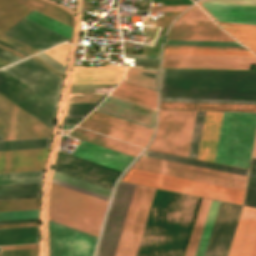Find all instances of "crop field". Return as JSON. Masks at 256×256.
Masks as SVG:
<instances>
[{
	"mask_svg": "<svg viewBox=\"0 0 256 256\" xmlns=\"http://www.w3.org/2000/svg\"><path fill=\"white\" fill-rule=\"evenodd\" d=\"M134 186L133 184L119 183L105 224L97 256H114ZM153 190L148 187L135 186L115 256H133Z\"/></svg>",
	"mask_w": 256,
	"mask_h": 256,
	"instance_id": "obj_1",
	"label": "crop field"
},
{
	"mask_svg": "<svg viewBox=\"0 0 256 256\" xmlns=\"http://www.w3.org/2000/svg\"><path fill=\"white\" fill-rule=\"evenodd\" d=\"M97 109L125 117L149 126L154 125V112L132 105L130 103L112 98H107ZM79 127L95 131L125 142L145 147L152 130L101 114L92 112Z\"/></svg>",
	"mask_w": 256,
	"mask_h": 256,
	"instance_id": "obj_2",
	"label": "crop field"
},
{
	"mask_svg": "<svg viewBox=\"0 0 256 256\" xmlns=\"http://www.w3.org/2000/svg\"><path fill=\"white\" fill-rule=\"evenodd\" d=\"M107 201L51 184L49 219L98 235Z\"/></svg>",
	"mask_w": 256,
	"mask_h": 256,
	"instance_id": "obj_3",
	"label": "crop field"
},
{
	"mask_svg": "<svg viewBox=\"0 0 256 256\" xmlns=\"http://www.w3.org/2000/svg\"><path fill=\"white\" fill-rule=\"evenodd\" d=\"M256 113L224 112L214 162L248 168Z\"/></svg>",
	"mask_w": 256,
	"mask_h": 256,
	"instance_id": "obj_4",
	"label": "crop field"
},
{
	"mask_svg": "<svg viewBox=\"0 0 256 256\" xmlns=\"http://www.w3.org/2000/svg\"><path fill=\"white\" fill-rule=\"evenodd\" d=\"M162 86L256 89V71L163 69Z\"/></svg>",
	"mask_w": 256,
	"mask_h": 256,
	"instance_id": "obj_5",
	"label": "crop field"
},
{
	"mask_svg": "<svg viewBox=\"0 0 256 256\" xmlns=\"http://www.w3.org/2000/svg\"><path fill=\"white\" fill-rule=\"evenodd\" d=\"M122 181L242 204V190L130 169Z\"/></svg>",
	"mask_w": 256,
	"mask_h": 256,
	"instance_id": "obj_6",
	"label": "crop field"
},
{
	"mask_svg": "<svg viewBox=\"0 0 256 256\" xmlns=\"http://www.w3.org/2000/svg\"><path fill=\"white\" fill-rule=\"evenodd\" d=\"M195 114L159 111L157 132L148 149L187 157Z\"/></svg>",
	"mask_w": 256,
	"mask_h": 256,
	"instance_id": "obj_7",
	"label": "crop field"
},
{
	"mask_svg": "<svg viewBox=\"0 0 256 256\" xmlns=\"http://www.w3.org/2000/svg\"><path fill=\"white\" fill-rule=\"evenodd\" d=\"M2 70L54 106L57 105L62 79L32 59L28 58Z\"/></svg>",
	"mask_w": 256,
	"mask_h": 256,
	"instance_id": "obj_8",
	"label": "crop field"
},
{
	"mask_svg": "<svg viewBox=\"0 0 256 256\" xmlns=\"http://www.w3.org/2000/svg\"><path fill=\"white\" fill-rule=\"evenodd\" d=\"M0 134L4 140L42 138L52 130L0 95Z\"/></svg>",
	"mask_w": 256,
	"mask_h": 256,
	"instance_id": "obj_9",
	"label": "crop field"
},
{
	"mask_svg": "<svg viewBox=\"0 0 256 256\" xmlns=\"http://www.w3.org/2000/svg\"><path fill=\"white\" fill-rule=\"evenodd\" d=\"M0 94L52 129L56 107L1 70Z\"/></svg>",
	"mask_w": 256,
	"mask_h": 256,
	"instance_id": "obj_10",
	"label": "crop field"
},
{
	"mask_svg": "<svg viewBox=\"0 0 256 256\" xmlns=\"http://www.w3.org/2000/svg\"><path fill=\"white\" fill-rule=\"evenodd\" d=\"M96 239L49 220V256H92Z\"/></svg>",
	"mask_w": 256,
	"mask_h": 256,
	"instance_id": "obj_11",
	"label": "crop field"
},
{
	"mask_svg": "<svg viewBox=\"0 0 256 256\" xmlns=\"http://www.w3.org/2000/svg\"><path fill=\"white\" fill-rule=\"evenodd\" d=\"M54 170L111 189L121 173V171L75 158L59 151Z\"/></svg>",
	"mask_w": 256,
	"mask_h": 256,
	"instance_id": "obj_12",
	"label": "crop field"
},
{
	"mask_svg": "<svg viewBox=\"0 0 256 256\" xmlns=\"http://www.w3.org/2000/svg\"><path fill=\"white\" fill-rule=\"evenodd\" d=\"M241 205L220 203L205 256H227L242 210Z\"/></svg>",
	"mask_w": 256,
	"mask_h": 256,
	"instance_id": "obj_13",
	"label": "crop field"
},
{
	"mask_svg": "<svg viewBox=\"0 0 256 256\" xmlns=\"http://www.w3.org/2000/svg\"><path fill=\"white\" fill-rule=\"evenodd\" d=\"M256 58L164 55L163 67L249 70Z\"/></svg>",
	"mask_w": 256,
	"mask_h": 256,
	"instance_id": "obj_14",
	"label": "crop field"
},
{
	"mask_svg": "<svg viewBox=\"0 0 256 256\" xmlns=\"http://www.w3.org/2000/svg\"><path fill=\"white\" fill-rule=\"evenodd\" d=\"M4 35L39 51L69 39L25 18L15 24Z\"/></svg>",
	"mask_w": 256,
	"mask_h": 256,
	"instance_id": "obj_15",
	"label": "crop field"
},
{
	"mask_svg": "<svg viewBox=\"0 0 256 256\" xmlns=\"http://www.w3.org/2000/svg\"><path fill=\"white\" fill-rule=\"evenodd\" d=\"M161 97L256 100V90L162 87Z\"/></svg>",
	"mask_w": 256,
	"mask_h": 256,
	"instance_id": "obj_16",
	"label": "crop field"
},
{
	"mask_svg": "<svg viewBox=\"0 0 256 256\" xmlns=\"http://www.w3.org/2000/svg\"><path fill=\"white\" fill-rule=\"evenodd\" d=\"M48 149L0 152V173L43 170Z\"/></svg>",
	"mask_w": 256,
	"mask_h": 256,
	"instance_id": "obj_17",
	"label": "crop field"
},
{
	"mask_svg": "<svg viewBox=\"0 0 256 256\" xmlns=\"http://www.w3.org/2000/svg\"><path fill=\"white\" fill-rule=\"evenodd\" d=\"M256 237V208L243 207L228 256H250Z\"/></svg>",
	"mask_w": 256,
	"mask_h": 256,
	"instance_id": "obj_18",
	"label": "crop field"
},
{
	"mask_svg": "<svg viewBox=\"0 0 256 256\" xmlns=\"http://www.w3.org/2000/svg\"><path fill=\"white\" fill-rule=\"evenodd\" d=\"M72 155L123 171L134 157L82 140Z\"/></svg>",
	"mask_w": 256,
	"mask_h": 256,
	"instance_id": "obj_19",
	"label": "crop field"
},
{
	"mask_svg": "<svg viewBox=\"0 0 256 256\" xmlns=\"http://www.w3.org/2000/svg\"><path fill=\"white\" fill-rule=\"evenodd\" d=\"M201 4H202V2H200V4H199L200 7L207 14L210 13L217 21L245 23V24H256V7H247V6H237V5H227V4H216V3L203 2L202 6L209 12L208 13L201 6ZM234 23H232V24H234ZM245 24H243V25H245ZM253 26H256V25H253Z\"/></svg>",
	"mask_w": 256,
	"mask_h": 256,
	"instance_id": "obj_20",
	"label": "crop field"
},
{
	"mask_svg": "<svg viewBox=\"0 0 256 256\" xmlns=\"http://www.w3.org/2000/svg\"><path fill=\"white\" fill-rule=\"evenodd\" d=\"M223 112H206L197 158L214 160Z\"/></svg>",
	"mask_w": 256,
	"mask_h": 256,
	"instance_id": "obj_21",
	"label": "crop field"
},
{
	"mask_svg": "<svg viewBox=\"0 0 256 256\" xmlns=\"http://www.w3.org/2000/svg\"><path fill=\"white\" fill-rule=\"evenodd\" d=\"M124 68L76 69L71 85L118 84Z\"/></svg>",
	"mask_w": 256,
	"mask_h": 256,
	"instance_id": "obj_22",
	"label": "crop field"
},
{
	"mask_svg": "<svg viewBox=\"0 0 256 256\" xmlns=\"http://www.w3.org/2000/svg\"><path fill=\"white\" fill-rule=\"evenodd\" d=\"M132 168L138 169V170H143V171L164 174V175H169V176H175V177L195 180V181H200V182H206V183L226 186V187H232V188H237V189H242V190H244L245 184H246L243 182L213 178V177L200 175V174H196V173H191V172H186V171H181V170H176V169H171V168H165V167H160V166H155V165H150V164H144V163H139V162H136Z\"/></svg>",
	"mask_w": 256,
	"mask_h": 256,
	"instance_id": "obj_23",
	"label": "crop field"
},
{
	"mask_svg": "<svg viewBox=\"0 0 256 256\" xmlns=\"http://www.w3.org/2000/svg\"><path fill=\"white\" fill-rule=\"evenodd\" d=\"M167 39L234 41L218 27L173 26Z\"/></svg>",
	"mask_w": 256,
	"mask_h": 256,
	"instance_id": "obj_24",
	"label": "crop field"
},
{
	"mask_svg": "<svg viewBox=\"0 0 256 256\" xmlns=\"http://www.w3.org/2000/svg\"><path fill=\"white\" fill-rule=\"evenodd\" d=\"M111 94L156 109V91L122 81Z\"/></svg>",
	"mask_w": 256,
	"mask_h": 256,
	"instance_id": "obj_25",
	"label": "crop field"
},
{
	"mask_svg": "<svg viewBox=\"0 0 256 256\" xmlns=\"http://www.w3.org/2000/svg\"><path fill=\"white\" fill-rule=\"evenodd\" d=\"M108 94H69L65 115L68 113L69 105L99 104ZM97 105L70 106L68 116L85 117Z\"/></svg>",
	"mask_w": 256,
	"mask_h": 256,
	"instance_id": "obj_26",
	"label": "crop field"
},
{
	"mask_svg": "<svg viewBox=\"0 0 256 256\" xmlns=\"http://www.w3.org/2000/svg\"><path fill=\"white\" fill-rule=\"evenodd\" d=\"M52 178L56 179V180H59V181H62V182H65V183H68V184H71V185H74V186H77V187H81V188H84V189H87V190H90V191L108 196V197L110 196V193L112 191L111 189H108V188H105V187H102V186H99V185H95V184H92V183H89V182H86V181H83V180H80V179H77V178H74V177H71V176H67V175L55 172V171H54V174H53ZM53 179H52L53 183H56V184H59V185H62V186H65V187L83 192V193H86V194H89V195H92V196H95V197H98V198H101V199H104V200H107V201L109 199L108 197H105V196H102V195H99V194H96V193H93V192H90V191H87V190H84V189H80V188H77V187H74V186H71V185L53 180Z\"/></svg>",
	"mask_w": 256,
	"mask_h": 256,
	"instance_id": "obj_27",
	"label": "crop field"
},
{
	"mask_svg": "<svg viewBox=\"0 0 256 256\" xmlns=\"http://www.w3.org/2000/svg\"><path fill=\"white\" fill-rule=\"evenodd\" d=\"M31 10L14 0H0V34Z\"/></svg>",
	"mask_w": 256,
	"mask_h": 256,
	"instance_id": "obj_28",
	"label": "crop field"
},
{
	"mask_svg": "<svg viewBox=\"0 0 256 256\" xmlns=\"http://www.w3.org/2000/svg\"><path fill=\"white\" fill-rule=\"evenodd\" d=\"M38 243V227L0 229V245Z\"/></svg>",
	"mask_w": 256,
	"mask_h": 256,
	"instance_id": "obj_29",
	"label": "crop field"
},
{
	"mask_svg": "<svg viewBox=\"0 0 256 256\" xmlns=\"http://www.w3.org/2000/svg\"><path fill=\"white\" fill-rule=\"evenodd\" d=\"M32 9H35L45 15H48L58 21H61L72 27L73 17L63 8L47 0H16Z\"/></svg>",
	"mask_w": 256,
	"mask_h": 256,
	"instance_id": "obj_30",
	"label": "crop field"
},
{
	"mask_svg": "<svg viewBox=\"0 0 256 256\" xmlns=\"http://www.w3.org/2000/svg\"><path fill=\"white\" fill-rule=\"evenodd\" d=\"M124 81L157 91L158 69L126 67Z\"/></svg>",
	"mask_w": 256,
	"mask_h": 256,
	"instance_id": "obj_31",
	"label": "crop field"
},
{
	"mask_svg": "<svg viewBox=\"0 0 256 256\" xmlns=\"http://www.w3.org/2000/svg\"><path fill=\"white\" fill-rule=\"evenodd\" d=\"M209 199H201L192 232L184 256H194L199 242L201 231L210 205Z\"/></svg>",
	"mask_w": 256,
	"mask_h": 256,
	"instance_id": "obj_32",
	"label": "crop field"
},
{
	"mask_svg": "<svg viewBox=\"0 0 256 256\" xmlns=\"http://www.w3.org/2000/svg\"><path fill=\"white\" fill-rule=\"evenodd\" d=\"M41 183L0 186V200L39 197Z\"/></svg>",
	"mask_w": 256,
	"mask_h": 256,
	"instance_id": "obj_33",
	"label": "crop field"
},
{
	"mask_svg": "<svg viewBox=\"0 0 256 256\" xmlns=\"http://www.w3.org/2000/svg\"><path fill=\"white\" fill-rule=\"evenodd\" d=\"M251 51L256 53V27L218 23Z\"/></svg>",
	"mask_w": 256,
	"mask_h": 256,
	"instance_id": "obj_34",
	"label": "crop field"
},
{
	"mask_svg": "<svg viewBox=\"0 0 256 256\" xmlns=\"http://www.w3.org/2000/svg\"><path fill=\"white\" fill-rule=\"evenodd\" d=\"M50 138L0 142V151L48 148Z\"/></svg>",
	"mask_w": 256,
	"mask_h": 256,
	"instance_id": "obj_35",
	"label": "crop field"
},
{
	"mask_svg": "<svg viewBox=\"0 0 256 256\" xmlns=\"http://www.w3.org/2000/svg\"><path fill=\"white\" fill-rule=\"evenodd\" d=\"M25 18H27L31 21H34L40 25H43L51 30H54L60 34H63L69 38L71 36V30H72L71 27H69L61 22H58L48 16H45L35 10L30 12L27 16H25Z\"/></svg>",
	"mask_w": 256,
	"mask_h": 256,
	"instance_id": "obj_36",
	"label": "crop field"
},
{
	"mask_svg": "<svg viewBox=\"0 0 256 256\" xmlns=\"http://www.w3.org/2000/svg\"><path fill=\"white\" fill-rule=\"evenodd\" d=\"M164 54L255 57L249 51L165 49Z\"/></svg>",
	"mask_w": 256,
	"mask_h": 256,
	"instance_id": "obj_37",
	"label": "crop field"
},
{
	"mask_svg": "<svg viewBox=\"0 0 256 256\" xmlns=\"http://www.w3.org/2000/svg\"><path fill=\"white\" fill-rule=\"evenodd\" d=\"M219 203L220 202H218V201H214V200L211 201V205H210V208L208 211V215H207V218L205 221V225L203 228V232H202L200 242H199L195 256H204L206 246H207V243L209 240V236H210V233L212 230V226H213V223L215 220V216H216V213L218 210Z\"/></svg>",
	"mask_w": 256,
	"mask_h": 256,
	"instance_id": "obj_38",
	"label": "crop field"
},
{
	"mask_svg": "<svg viewBox=\"0 0 256 256\" xmlns=\"http://www.w3.org/2000/svg\"><path fill=\"white\" fill-rule=\"evenodd\" d=\"M39 198L0 201V212L38 209Z\"/></svg>",
	"mask_w": 256,
	"mask_h": 256,
	"instance_id": "obj_39",
	"label": "crop field"
},
{
	"mask_svg": "<svg viewBox=\"0 0 256 256\" xmlns=\"http://www.w3.org/2000/svg\"><path fill=\"white\" fill-rule=\"evenodd\" d=\"M244 205L256 207V158H252Z\"/></svg>",
	"mask_w": 256,
	"mask_h": 256,
	"instance_id": "obj_40",
	"label": "crop field"
},
{
	"mask_svg": "<svg viewBox=\"0 0 256 256\" xmlns=\"http://www.w3.org/2000/svg\"><path fill=\"white\" fill-rule=\"evenodd\" d=\"M205 112H197L188 157L196 158Z\"/></svg>",
	"mask_w": 256,
	"mask_h": 256,
	"instance_id": "obj_41",
	"label": "crop field"
},
{
	"mask_svg": "<svg viewBox=\"0 0 256 256\" xmlns=\"http://www.w3.org/2000/svg\"><path fill=\"white\" fill-rule=\"evenodd\" d=\"M165 45L242 47L237 42L167 40Z\"/></svg>",
	"mask_w": 256,
	"mask_h": 256,
	"instance_id": "obj_42",
	"label": "crop field"
},
{
	"mask_svg": "<svg viewBox=\"0 0 256 256\" xmlns=\"http://www.w3.org/2000/svg\"><path fill=\"white\" fill-rule=\"evenodd\" d=\"M68 134L71 135V136H74V137H78V138H81V139H84V140H87V141H90V142L108 147V148L113 149V150H116V151H119V152H122V153H125V154H128V155L134 156V157H136L137 154H138V152H135V151H132V150H129V149H126V148H122V147H119V146H116V145H113V144H110V143H107V142H104V141H101V140H98V139H95V138H92V137H88V136H85V135H82V134H79V133H76V132H73V131L69 132Z\"/></svg>",
	"mask_w": 256,
	"mask_h": 256,
	"instance_id": "obj_43",
	"label": "crop field"
},
{
	"mask_svg": "<svg viewBox=\"0 0 256 256\" xmlns=\"http://www.w3.org/2000/svg\"><path fill=\"white\" fill-rule=\"evenodd\" d=\"M194 165L200 166V167H205V168H210V169H215V170H220V171H225V172H230V173H235V174H240V175H245V176H247V173H248V170H245V169L234 168V167H229V166H224V165H219V164H214V163H208V162H203V161H198V160L195 161Z\"/></svg>",
	"mask_w": 256,
	"mask_h": 256,
	"instance_id": "obj_44",
	"label": "crop field"
},
{
	"mask_svg": "<svg viewBox=\"0 0 256 256\" xmlns=\"http://www.w3.org/2000/svg\"><path fill=\"white\" fill-rule=\"evenodd\" d=\"M68 44H62L60 46L54 47L52 49L44 51L47 55H49L51 58L56 60L58 63H60L62 66H65L67 53H68Z\"/></svg>",
	"mask_w": 256,
	"mask_h": 256,
	"instance_id": "obj_45",
	"label": "crop field"
},
{
	"mask_svg": "<svg viewBox=\"0 0 256 256\" xmlns=\"http://www.w3.org/2000/svg\"><path fill=\"white\" fill-rule=\"evenodd\" d=\"M191 171L197 172V173H202V174H207V175H212V176L233 179V180L244 181V182H246V179H247V177H245V176H240V175H235V174H230V173H225V172H220V171H215V170H210V169H205V168H200V167H195V166L192 167Z\"/></svg>",
	"mask_w": 256,
	"mask_h": 256,
	"instance_id": "obj_46",
	"label": "crop field"
},
{
	"mask_svg": "<svg viewBox=\"0 0 256 256\" xmlns=\"http://www.w3.org/2000/svg\"><path fill=\"white\" fill-rule=\"evenodd\" d=\"M30 218H38V210L0 213V220L30 219Z\"/></svg>",
	"mask_w": 256,
	"mask_h": 256,
	"instance_id": "obj_47",
	"label": "crop field"
},
{
	"mask_svg": "<svg viewBox=\"0 0 256 256\" xmlns=\"http://www.w3.org/2000/svg\"><path fill=\"white\" fill-rule=\"evenodd\" d=\"M161 101H178V102H212V103H246V104H256V101H248V100H213V99H178V98H161Z\"/></svg>",
	"mask_w": 256,
	"mask_h": 256,
	"instance_id": "obj_48",
	"label": "crop field"
},
{
	"mask_svg": "<svg viewBox=\"0 0 256 256\" xmlns=\"http://www.w3.org/2000/svg\"><path fill=\"white\" fill-rule=\"evenodd\" d=\"M73 131H76V132H79V133H82V134H85V135H89V136H92V137H95V138H98V139H101V140H104V141H107V142H110V143H113V144H116V145H119V146H123V147L129 148V149H132V150H135V151H138V152H140L142 150L140 148H137V147H134V146H131V145H128V144L110 139L108 137H105V136H102V135H99V134H96V133L78 128V127H75L73 129Z\"/></svg>",
	"mask_w": 256,
	"mask_h": 256,
	"instance_id": "obj_49",
	"label": "crop field"
},
{
	"mask_svg": "<svg viewBox=\"0 0 256 256\" xmlns=\"http://www.w3.org/2000/svg\"><path fill=\"white\" fill-rule=\"evenodd\" d=\"M138 161L155 164V165L171 167V168L182 169V170H184L186 167L185 164H180V163H175V162H170V161H165V160H160V159H155V158H150V157H145V156H142V158Z\"/></svg>",
	"mask_w": 256,
	"mask_h": 256,
	"instance_id": "obj_50",
	"label": "crop field"
},
{
	"mask_svg": "<svg viewBox=\"0 0 256 256\" xmlns=\"http://www.w3.org/2000/svg\"><path fill=\"white\" fill-rule=\"evenodd\" d=\"M175 25L216 26L210 19L180 18Z\"/></svg>",
	"mask_w": 256,
	"mask_h": 256,
	"instance_id": "obj_51",
	"label": "crop field"
},
{
	"mask_svg": "<svg viewBox=\"0 0 256 256\" xmlns=\"http://www.w3.org/2000/svg\"><path fill=\"white\" fill-rule=\"evenodd\" d=\"M43 171L0 174V180L42 177Z\"/></svg>",
	"mask_w": 256,
	"mask_h": 256,
	"instance_id": "obj_52",
	"label": "crop field"
},
{
	"mask_svg": "<svg viewBox=\"0 0 256 256\" xmlns=\"http://www.w3.org/2000/svg\"><path fill=\"white\" fill-rule=\"evenodd\" d=\"M0 41L4 42L6 44H9V45H11V46H13V47H15V48H17L19 50H22V51H24V52H26V53H28L30 55H33V54L39 52V51H37V50H35L33 48H30V47H28V46H26L24 44H21V43L15 41L13 39H10V38H8V37H6L4 35H2L0 37Z\"/></svg>",
	"mask_w": 256,
	"mask_h": 256,
	"instance_id": "obj_53",
	"label": "crop field"
},
{
	"mask_svg": "<svg viewBox=\"0 0 256 256\" xmlns=\"http://www.w3.org/2000/svg\"><path fill=\"white\" fill-rule=\"evenodd\" d=\"M144 155L150 156V157H155V158H160V159H165V160H170V161H175V162H180V163H185V164H187L188 160H189L187 158L166 155V154H161V153H156V152H151V151L145 152Z\"/></svg>",
	"mask_w": 256,
	"mask_h": 256,
	"instance_id": "obj_54",
	"label": "crop field"
},
{
	"mask_svg": "<svg viewBox=\"0 0 256 256\" xmlns=\"http://www.w3.org/2000/svg\"><path fill=\"white\" fill-rule=\"evenodd\" d=\"M38 249L1 251V256H37Z\"/></svg>",
	"mask_w": 256,
	"mask_h": 256,
	"instance_id": "obj_55",
	"label": "crop field"
},
{
	"mask_svg": "<svg viewBox=\"0 0 256 256\" xmlns=\"http://www.w3.org/2000/svg\"><path fill=\"white\" fill-rule=\"evenodd\" d=\"M203 1L217 2V3H227V4H237V5L256 6V0H203Z\"/></svg>",
	"mask_w": 256,
	"mask_h": 256,
	"instance_id": "obj_56",
	"label": "crop field"
},
{
	"mask_svg": "<svg viewBox=\"0 0 256 256\" xmlns=\"http://www.w3.org/2000/svg\"><path fill=\"white\" fill-rule=\"evenodd\" d=\"M190 5L151 6V11H184Z\"/></svg>",
	"mask_w": 256,
	"mask_h": 256,
	"instance_id": "obj_57",
	"label": "crop field"
},
{
	"mask_svg": "<svg viewBox=\"0 0 256 256\" xmlns=\"http://www.w3.org/2000/svg\"><path fill=\"white\" fill-rule=\"evenodd\" d=\"M38 58H40L41 60H43L44 62H46L47 64L51 65L52 67H54L55 69H57L58 71H60L61 73L64 72V67H62L60 64H58L56 61H54L53 59H51L49 56H47L45 53L41 52L37 55Z\"/></svg>",
	"mask_w": 256,
	"mask_h": 256,
	"instance_id": "obj_58",
	"label": "crop field"
},
{
	"mask_svg": "<svg viewBox=\"0 0 256 256\" xmlns=\"http://www.w3.org/2000/svg\"><path fill=\"white\" fill-rule=\"evenodd\" d=\"M42 178H35V179H19V180H3L0 181V185L4 184H19V183H34V182H41Z\"/></svg>",
	"mask_w": 256,
	"mask_h": 256,
	"instance_id": "obj_59",
	"label": "crop field"
},
{
	"mask_svg": "<svg viewBox=\"0 0 256 256\" xmlns=\"http://www.w3.org/2000/svg\"><path fill=\"white\" fill-rule=\"evenodd\" d=\"M182 17L208 18L196 7L187 11Z\"/></svg>",
	"mask_w": 256,
	"mask_h": 256,
	"instance_id": "obj_60",
	"label": "crop field"
},
{
	"mask_svg": "<svg viewBox=\"0 0 256 256\" xmlns=\"http://www.w3.org/2000/svg\"><path fill=\"white\" fill-rule=\"evenodd\" d=\"M0 58L4 59V60H6L10 63H13V62L18 61V60L21 59V58L15 56V55L10 54V53H8L4 50H1V49H0Z\"/></svg>",
	"mask_w": 256,
	"mask_h": 256,
	"instance_id": "obj_61",
	"label": "crop field"
},
{
	"mask_svg": "<svg viewBox=\"0 0 256 256\" xmlns=\"http://www.w3.org/2000/svg\"><path fill=\"white\" fill-rule=\"evenodd\" d=\"M30 226H38V222L17 223V224H3V225H0V228L30 227Z\"/></svg>",
	"mask_w": 256,
	"mask_h": 256,
	"instance_id": "obj_62",
	"label": "crop field"
},
{
	"mask_svg": "<svg viewBox=\"0 0 256 256\" xmlns=\"http://www.w3.org/2000/svg\"><path fill=\"white\" fill-rule=\"evenodd\" d=\"M135 65L157 66L158 60L134 59Z\"/></svg>",
	"mask_w": 256,
	"mask_h": 256,
	"instance_id": "obj_63",
	"label": "crop field"
},
{
	"mask_svg": "<svg viewBox=\"0 0 256 256\" xmlns=\"http://www.w3.org/2000/svg\"><path fill=\"white\" fill-rule=\"evenodd\" d=\"M33 60H35L36 62H38L39 64H41L42 66H44L45 68H47L48 70H50L51 72H53L54 74H56L57 76H59L60 78L63 77V74H61L60 72H58L57 70H55L54 68H52L51 66L47 65L46 63H44L43 61H41L40 59H38L37 57L33 56L31 57Z\"/></svg>",
	"mask_w": 256,
	"mask_h": 256,
	"instance_id": "obj_64",
	"label": "crop field"
},
{
	"mask_svg": "<svg viewBox=\"0 0 256 256\" xmlns=\"http://www.w3.org/2000/svg\"><path fill=\"white\" fill-rule=\"evenodd\" d=\"M38 248V244L1 247V250Z\"/></svg>",
	"mask_w": 256,
	"mask_h": 256,
	"instance_id": "obj_65",
	"label": "crop field"
},
{
	"mask_svg": "<svg viewBox=\"0 0 256 256\" xmlns=\"http://www.w3.org/2000/svg\"><path fill=\"white\" fill-rule=\"evenodd\" d=\"M83 118H64L63 123H78Z\"/></svg>",
	"mask_w": 256,
	"mask_h": 256,
	"instance_id": "obj_66",
	"label": "crop field"
},
{
	"mask_svg": "<svg viewBox=\"0 0 256 256\" xmlns=\"http://www.w3.org/2000/svg\"><path fill=\"white\" fill-rule=\"evenodd\" d=\"M31 221H38V219L14 220V221H0V224H3V223H17V222H31Z\"/></svg>",
	"mask_w": 256,
	"mask_h": 256,
	"instance_id": "obj_67",
	"label": "crop field"
},
{
	"mask_svg": "<svg viewBox=\"0 0 256 256\" xmlns=\"http://www.w3.org/2000/svg\"><path fill=\"white\" fill-rule=\"evenodd\" d=\"M0 47H2V48H4V49H6V50H8V51H10V52H12V53H14V54L18 55V56H20V57H22V58L26 57V56L21 55V54H19V53H17V52H15V51H13V50H11V49H8V48H6V47H4V46H2V45H0Z\"/></svg>",
	"mask_w": 256,
	"mask_h": 256,
	"instance_id": "obj_68",
	"label": "crop field"
},
{
	"mask_svg": "<svg viewBox=\"0 0 256 256\" xmlns=\"http://www.w3.org/2000/svg\"><path fill=\"white\" fill-rule=\"evenodd\" d=\"M0 44H2V45H4V46H7V47H9V48H11V49H13V50H15V51H18V52H20V53H22V54H24V55H26V56H30V55H28V54H26V53H24V52H22V51H19V50L15 49V48H13V47H11V46H9V45L4 44V43H2V42H0Z\"/></svg>",
	"mask_w": 256,
	"mask_h": 256,
	"instance_id": "obj_69",
	"label": "crop field"
},
{
	"mask_svg": "<svg viewBox=\"0 0 256 256\" xmlns=\"http://www.w3.org/2000/svg\"><path fill=\"white\" fill-rule=\"evenodd\" d=\"M133 43L130 42H123L124 48H132Z\"/></svg>",
	"mask_w": 256,
	"mask_h": 256,
	"instance_id": "obj_70",
	"label": "crop field"
},
{
	"mask_svg": "<svg viewBox=\"0 0 256 256\" xmlns=\"http://www.w3.org/2000/svg\"><path fill=\"white\" fill-rule=\"evenodd\" d=\"M8 64H10V63H8V62H6V61L0 59V67L6 66V65H8Z\"/></svg>",
	"mask_w": 256,
	"mask_h": 256,
	"instance_id": "obj_71",
	"label": "crop field"
},
{
	"mask_svg": "<svg viewBox=\"0 0 256 256\" xmlns=\"http://www.w3.org/2000/svg\"><path fill=\"white\" fill-rule=\"evenodd\" d=\"M251 256H256V241H255Z\"/></svg>",
	"mask_w": 256,
	"mask_h": 256,
	"instance_id": "obj_72",
	"label": "crop field"
},
{
	"mask_svg": "<svg viewBox=\"0 0 256 256\" xmlns=\"http://www.w3.org/2000/svg\"><path fill=\"white\" fill-rule=\"evenodd\" d=\"M253 156H256V143H255V148H254V154Z\"/></svg>",
	"mask_w": 256,
	"mask_h": 256,
	"instance_id": "obj_73",
	"label": "crop field"
},
{
	"mask_svg": "<svg viewBox=\"0 0 256 256\" xmlns=\"http://www.w3.org/2000/svg\"><path fill=\"white\" fill-rule=\"evenodd\" d=\"M0 140H3V138L1 137V135H0Z\"/></svg>",
	"mask_w": 256,
	"mask_h": 256,
	"instance_id": "obj_74",
	"label": "crop field"
}]
</instances>
